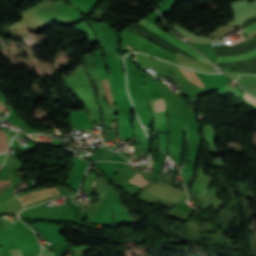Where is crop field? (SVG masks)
Here are the masks:
<instances>
[{
  "label": "crop field",
  "mask_w": 256,
  "mask_h": 256,
  "mask_svg": "<svg viewBox=\"0 0 256 256\" xmlns=\"http://www.w3.org/2000/svg\"><path fill=\"white\" fill-rule=\"evenodd\" d=\"M226 86H227L228 89L231 91V93H233L234 95L238 96V95L242 94L238 89H237V90H236L235 88L232 89L229 84H227ZM226 86H225V90H226L227 94H229L230 92H229V90L226 88Z\"/></svg>",
  "instance_id": "crop-field-10"
},
{
  "label": "crop field",
  "mask_w": 256,
  "mask_h": 256,
  "mask_svg": "<svg viewBox=\"0 0 256 256\" xmlns=\"http://www.w3.org/2000/svg\"><path fill=\"white\" fill-rule=\"evenodd\" d=\"M243 31H244L245 33L249 34V35L252 34V33H254V32H256V24H253V25H251V26L246 27ZM255 35H256V33L253 34V35H251V36H249V38H250V37H253V36H255ZM254 56H256V51L250 52V53H248V54L236 56V57H217V61H218V62L234 61V60L245 59V58H250V57H254Z\"/></svg>",
  "instance_id": "crop-field-3"
},
{
  "label": "crop field",
  "mask_w": 256,
  "mask_h": 256,
  "mask_svg": "<svg viewBox=\"0 0 256 256\" xmlns=\"http://www.w3.org/2000/svg\"><path fill=\"white\" fill-rule=\"evenodd\" d=\"M154 108L156 112L165 111L163 98L154 101Z\"/></svg>",
  "instance_id": "crop-field-7"
},
{
  "label": "crop field",
  "mask_w": 256,
  "mask_h": 256,
  "mask_svg": "<svg viewBox=\"0 0 256 256\" xmlns=\"http://www.w3.org/2000/svg\"><path fill=\"white\" fill-rule=\"evenodd\" d=\"M226 73L232 75L233 77H237L240 73L236 72V71H230V70H225Z\"/></svg>",
  "instance_id": "crop-field-11"
},
{
  "label": "crop field",
  "mask_w": 256,
  "mask_h": 256,
  "mask_svg": "<svg viewBox=\"0 0 256 256\" xmlns=\"http://www.w3.org/2000/svg\"><path fill=\"white\" fill-rule=\"evenodd\" d=\"M7 150V141L5 132L0 131V152Z\"/></svg>",
  "instance_id": "crop-field-5"
},
{
  "label": "crop field",
  "mask_w": 256,
  "mask_h": 256,
  "mask_svg": "<svg viewBox=\"0 0 256 256\" xmlns=\"http://www.w3.org/2000/svg\"><path fill=\"white\" fill-rule=\"evenodd\" d=\"M94 183H95V182H93V186H94ZM93 186H92V187H93Z\"/></svg>",
  "instance_id": "crop-field-14"
},
{
  "label": "crop field",
  "mask_w": 256,
  "mask_h": 256,
  "mask_svg": "<svg viewBox=\"0 0 256 256\" xmlns=\"http://www.w3.org/2000/svg\"><path fill=\"white\" fill-rule=\"evenodd\" d=\"M10 256H23L22 249L7 250Z\"/></svg>",
  "instance_id": "crop-field-9"
},
{
  "label": "crop field",
  "mask_w": 256,
  "mask_h": 256,
  "mask_svg": "<svg viewBox=\"0 0 256 256\" xmlns=\"http://www.w3.org/2000/svg\"><path fill=\"white\" fill-rule=\"evenodd\" d=\"M180 69L183 72V74L186 76L188 81H190L200 87H203L202 83L200 82V80L198 79V77L196 76V74L194 72H191V71H188V70H185L182 68H180Z\"/></svg>",
  "instance_id": "crop-field-4"
},
{
  "label": "crop field",
  "mask_w": 256,
  "mask_h": 256,
  "mask_svg": "<svg viewBox=\"0 0 256 256\" xmlns=\"http://www.w3.org/2000/svg\"><path fill=\"white\" fill-rule=\"evenodd\" d=\"M126 46H128V45H126ZM129 48H131L130 46H128ZM131 49H133V48H131Z\"/></svg>",
  "instance_id": "crop-field-13"
},
{
  "label": "crop field",
  "mask_w": 256,
  "mask_h": 256,
  "mask_svg": "<svg viewBox=\"0 0 256 256\" xmlns=\"http://www.w3.org/2000/svg\"><path fill=\"white\" fill-rule=\"evenodd\" d=\"M140 24H142L144 27H146L147 29L151 30L153 33L157 34L158 36L162 37L163 39H165L166 41H168L169 43L183 49L184 51L192 54L194 57L198 58L200 61H204L206 63H209L205 58H203L200 54H198L197 52H195L194 50H192L191 48H189L188 46H186L185 44L181 43L180 41H178L177 39H175L174 37H172L171 35L159 30L158 28H156L154 25H152L150 22H148L146 19H143L139 22Z\"/></svg>",
  "instance_id": "crop-field-1"
},
{
  "label": "crop field",
  "mask_w": 256,
  "mask_h": 256,
  "mask_svg": "<svg viewBox=\"0 0 256 256\" xmlns=\"http://www.w3.org/2000/svg\"><path fill=\"white\" fill-rule=\"evenodd\" d=\"M9 188H11L10 184H9V180H1L0 181V193H2L3 191H5Z\"/></svg>",
  "instance_id": "crop-field-8"
},
{
  "label": "crop field",
  "mask_w": 256,
  "mask_h": 256,
  "mask_svg": "<svg viewBox=\"0 0 256 256\" xmlns=\"http://www.w3.org/2000/svg\"><path fill=\"white\" fill-rule=\"evenodd\" d=\"M136 176L141 177V175L138 174V173L136 174ZM136 176L132 177L129 182L134 183V184H136V185H139V186H141V187H143L145 184L148 183V181H146V180H144V179H142V178L136 177Z\"/></svg>",
  "instance_id": "crop-field-6"
},
{
  "label": "crop field",
  "mask_w": 256,
  "mask_h": 256,
  "mask_svg": "<svg viewBox=\"0 0 256 256\" xmlns=\"http://www.w3.org/2000/svg\"><path fill=\"white\" fill-rule=\"evenodd\" d=\"M6 107H4L2 104H0V112L4 110Z\"/></svg>",
  "instance_id": "crop-field-12"
},
{
  "label": "crop field",
  "mask_w": 256,
  "mask_h": 256,
  "mask_svg": "<svg viewBox=\"0 0 256 256\" xmlns=\"http://www.w3.org/2000/svg\"><path fill=\"white\" fill-rule=\"evenodd\" d=\"M55 195H59V192L56 190V188H50L30 194H26L24 196L19 197V200L23 203V205H28L37 201H40L42 199L52 197Z\"/></svg>",
  "instance_id": "crop-field-2"
}]
</instances>
